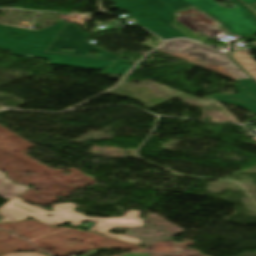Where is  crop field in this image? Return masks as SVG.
<instances>
[{
  "label": "crop field",
  "mask_w": 256,
  "mask_h": 256,
  "mask_svg": "<svg viewBox=\"0 0 256 256\" xmlns=\"http://www.w3.org/2000/svg\"><path fill=\"white\" fill-rule=\"evenodd\" d=\"M242 1H244L248 5L256 3V0H242Z\"/></svg>",
  "instance_id": "10"
},
{
  "label": "crop field",
  "mask_w": 256,
  "mask_h": 256,
  "mask_svg": "<svg viewBox=\"0 0 256 256\" xmlns=\"http://www.w3.org/2000/svg\"><path fill=\"white\" fill-rule=\"evenodd\" d=\"M28 187L14 184L10 182L5 174L0 171V197L7 199L20 195Z\"/></svg>",
  "instance_id": "7"
},
{
  "label": "crop field",
  "mask_w": 256,
  "mask_h": 256,
  "mask_svg": "<svg viewBox=\"0 0 256 256\" xmlns=\"http://www.w3.org/2000/svg\"><path fill=\"white\" fill-rule=\"evenodd\" d=\"M237 81H239V84L235 87L241 91L240 95H212V97L217 101L235 103L256 113V82L252 79Z\"/></svg>",
  "instance_id": "6"
},
{
  "label": "crop field",
  "mask_w": 256,
  "mask_h": 256,
  "mask_svg": "<svg viewBox=\"0 0 256 256\" xmlns=\"http://www.w3.org/2000/svg\"><path fill=\"white\" fill-rule=\"evenodd\" d=\"M14 203L35 212V214L13 205ZM76 207L77 206L71 203L56 204L53 207L55 211L48 212L42 208L30 206L24 203L22 199L15 197V198H12L9 202H7L5 205H3L0 208V211H1L0 214L4 215V219L2 221L25 219L31 216L50 225H61L68 221H72V225H81L82 221L97 222L96 226L91 228L92 231L103 233L107 237L131 242V243H140L139 239L128 237L121 234L116 236L114 234L107 233L106 231L112 229L113 227L143 226L142 224L143 219L138 218L139 214L142 211L129 210L123 218L96 219V218H87L84 216V214L73 211V209ZM48 213H51L53 216L51 218L47 217L46 215Z\"/></svg>",
  "instance_id": "2"
},
{
  "label": "crop field",
  "mask_w": 256,
  "mask_h": 256,
  "mask_svg": "<svg viewBox=\"0 0 256 256\" xmlns=\"http://www.w3.org/2000/svg\"><path fill=\"white\" fill-rule=\"evenodd\" d=\"M87 37L88 35L83 34L78 26L73 24H66V26L61 31L59 36L55 38V40L49 46L47 51L94 57V58L117 60L113 66L101 72L103 75H106V76H110L112 74L124 75L127 72V70L131 67V65H129L125 60L119 59L117 58V56L105 50L91 46L85 40ZM59 48H73L76 50L73 53H68V52L58 51ZM90 50L99 51L102 57L87 55L90 52Z\"/></svg>",
  "instance_id": "4"
},
{
  "label": "crop field",
  "mask_w": 256,
  "mask_h": 256,
  "mask_svg": "<svg viewBox=\"0 0 256 256\" xmlns=\"http://www.w3.org/2000/svg\"><path fill=\"white\" fill-rule=\"evenodd\" d=\"M123 10H124V9H123ZM124 11L127 12L129 15H131L130 12H128L127 10H124Z\"/></svg>",
  "instance_id": "15"
},
{
  "label": "crop field",
  "mask_w": 256,
  "mask_h": 256,
  "mask_svg": "<svg viewBox=\"0 0 256 256\" xmlns=\"http://www.w3.org/2000/svg\"><path fill=\"white\" fill-rule=\"evenodd\" d=\"M115 6L132 13L138 24L158 34L164 39L185 37L171 24L174 13L195 6L202 12L212 15L236 34L247 37L256 33V16L238 0H232L239 7L227 10L212 0H110Z\"/></svg>",
  "instance_id": "1"
},
{
  "label": "crop field",
  "mask_w": 256,
  "mask_h": 256,
  "mask_svg": "<svg viewBox=\"0 0 256 256\" xmlns=\"http://www.w3.org/2000/svg\"><path fill=\"white\" fill-rule=\"evenodd\" d=\"M158 50L185 53L196 57L202 62L218 64L230 71L237 79L250 78L229 57H227L229 52H219L199 43L186 40H174L168 42Z\"/></svg>",
  "instance_id": "5"
},
{
  "label": "crop field",
  "mask_w": 256,
  "mask_h": 256,
  "mask_svg": "<svg viewBox=\"0 0 256 256\" xmlns=\"http://www.w3.org/2000/svg\"><path fill=\"white\" fill-rule=\"evenodd\" d=\"M5 256H45L40 253H14V254H9Z\"/></svg>",
  "instance_id": "9"
},
{
  "label": "crop field",
  "mask_w": 256,
  "mask_h": 256,
  "mask_svg": "<svg viewBox=\"0 0 256 256\" xmlns=\"http://www.w3.org/2000/svg\"><path fill=\"white\" fill-rule=\"evenodd\" d=\"M10 28H14V29H20V28H15V27H10ZM20 30H24V29H20ZM26 31H28V30H26Z\"/></svg>",
  "instance_id": "14"
},
{
  "label": "crop field",
  "mask_w": 256,
  "mask_h": 256,
  "mask_svg": "<svg viewBox=\"0 0 256 256\" xmlns=\"http://www.w3.org/2000/svg\"><path fill=\"white\" fill-rule=\"evenodd\" d=\"M59 21L55 27L39 32H26L0 25V49L12 54L36 56L49 59V64L104 70L115 61L43 53L55 35L64 26Z\"/></svg>",
  "instance_id": "3"
},
{
  "label": "crop field",
  "mask_w": 256,
  "mask_h": 256,
  "mask_svg": "<svg viewBox=\"0 0 256 256\" xmlns=\"http://www.w3.org/2000/svg\"><path fill=\"white\" fill-rule=\"evenodd\" d=\"M230 56L256 80V62L253 59L242 50H234Z\"/></svg>",
  "instance_id": "8"
},
{
  "label": "crop field",
  "mask_w": 256,
  "mask_h": 256,
  "mask_svg": "<svg viewBox=\"0 0 256 256\" xmlns=\"http://www.w3.org/2000/svg\"><path fill=\"white\" fill-rule=\"evenodd\" d=\"M125 256H149V254H127Z\"/></svg>",
  "instance_id": "11"
},
{
  "label": "crop field",
  "mask_w": 256,
  "mask_h": 256,
  "mask_svg": "<svg viewBox=\"0 0 256 256\" xmlns=\"http://www.w3.org/2000/svg\"><path fill=\"white\" fill-rule=\"evenodd\" d=\"M251 8L256 10V5L251 6Z\"/></svg>",
  "instance_id": "13"
},
{
  "label": "crop field",
  "mask_w": 256,
  "mask_h": 256,
  "mask_svg": "<svg viewBox=\"0 0 256 256\" xmlns=\"http://www.w3.org/2000/svg\"><path fill=\"white\" fill-rule=\"evenodd\" d=\"M254 39H256V38H251V39H246V40H243V41H250V40H254Z\"/></svg>",
  "instance_id": "12"
}]
</instances>
